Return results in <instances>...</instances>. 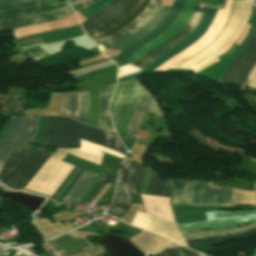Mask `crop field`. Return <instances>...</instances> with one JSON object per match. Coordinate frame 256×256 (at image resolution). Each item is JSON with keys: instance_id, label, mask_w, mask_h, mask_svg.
Instances as JSON below:
<instances>
[{"instance_id": "8a807250", "label": "crop field", "mask_w": 256, "mask_h": 256, "mask_svg": "<svg viewBox=\"0 0 256 256\" xmlns=\"http://www.w3.org/2000/svg\"><path fill=\"white\" fill-rule=\"evenodd\" d=\"M80 138L124 155L127 153L115 132L86 126L68 118L47 117L42 145L56 148H79Z\"/></svg>"}, {"instance_id": "ac0d7876", "label": "crop field", "mask_w": 256, "mask_h": 256, "mask_svg": "<svg viewBox=\"0 0 256 256\" xmlns=\"http://www.w3.org/2000/svg\"><path fill=\"white\" fill-rule=\"evenodd\" d=\"M121 84L122 83L118 84L110 105L111 117L120 91ZM141 88L142 86L137 81V79L125 81L123 83L121 93L112 118L117 134H127ZM145 112L152 113L155 115V117L162 116V113L159 110L156 101L142 88L135 109V113L127 134L128 136L130 135L133 127L138 126Z\"/></svg>"}, {"instance_id": "34b2d1b8", "label": "crop field", "mask_w": 256, "mask_h": 256, "mask_svg": "<svg viewBox=\"0 0 256 256\" xmlns=\"http://www.w3.org/2000/svg\"><path fill=\"white\" fill-rule=\"evenodd\" d=\"M251 7H252V3L250 0H235V11H234V15H233L234 0H231L229 14H228L223 26L218 31L217 35L213 39H211L200 50L196 51L195 53H193L190 56L186 57L185 59L181 60L180 62H178L176 65H174L171 68L177 67L179 64H181L185 60L189 59L193 55L197 54L198 52L202 51L203 49H205L206 47L211 45L223 32L224 28L230 22L232 15H233L231 22L225 28L222 35L211 46H209L202 52L198 53L194 57L190 58L189 60L185 61L177 68L196 69V68L202 66L203 64L207 63L208 61L221 55L225 51H227L228 48L231 45H233L235 43V41L241 35V33L247 23V20L249 18V15L251 12Z\"/></svg>"}, {"instance_id": "412701ff", "label": "crop field", "mask_w": 256, "mask_h": 256, "mask_svg": "<svg viewBox=\"0 0 256 256\" xmlns=\"http://www.w3.org/2000/svg\"><path fill=\"white\" fill-rule=\"evenodd\" d=\"M50 155L43 148L35 149L33 154L14 150L0 170V181L11 189L23 190Z\"/></svg>"}, {"instance_id": "f4fd0767", "label": "crop field", "mask_w": 256, "mask_h": 256, "mask_svg": "<svg viewBox=\"0 0 256 256\" xmlns=\"http://www.w3.org/2000/svg\"><path fill=\"white\" fill-rule=\"evenodd\" d=\"M147 167H142L137 162H124L116 188L115 198L112 208L107 214L119 219L123 217L131 206L133 193H139L142 180Z\"/></svg>"}, {"instance_id": "dd49c442", "label": "crop field", "mask_w": 256, "mask_h": 256, "mask_svg": "<svg viewBox=\"0 0 256 256\" xmlns=\"http://www.w3.org/2000/svg\"><path fill=\"white\" fill-rule=\"evenodd\" d=\"M37 116L15 115L11 117L5 140L0 139V161L4 163L15 148L31 152V137L36 129Z\"/></svg>"}, {"instance_id": "e52e79f7", "label": "crop field", "mask_w": 256, "mask_h": 256, "mask_svg": "<svg viewBox=\"0 0 256 256\" xmlns=\"http://www.w3.org/2000/svg\"><path fill=\"white\" fill-rule=\"evenodd\" d=\"M63 157H50L39 170V172L25 187V189L52 196V194L55 192V190L59 187V185L73 168V166L61 161ZM33 191L29 192L43 195ZM48 195L43 196H47L50 198V196Z\"/></svg>"}, {"instance_id": "d8731c3e", "label": "crop field", "mask_w": 256, "mask_h": 256, "mask_svg": "<svg viewBox=\"0 0 256 256\" xmlns=\"http://www.w3.org/2000/svg\"><path fill=\"white\" fill-rule=\"evenodd\" d=\"M72 12L69 5L58 10L44 13H40L38 7L0 12V30L59 19Z\"/></svg>"}, {"instance_id": "5a996713", "label": "crop field", "mask_w": 256, "mask_h": 256, "mask_svg": "<svg viewBox=\"0 0 256 256\" xmlns=\"http://www.w3.org/2000/svg\"><path fill=\"white\" fill-rule=\"evenodd\" d=\"M256 63V31L247 46L232 59L219 81L243 86Z\"/></svg>"}, {"instance_id": "3316defc", "label": "crop field", "mask_w": 256, "mask_h": 256, "mask_svg": "<svg viewBox=\"0 0 256 256\" xmlns=\"http://www.w3.org/2000/svg\"><path fill=\"white\" fill-rule=\"evenodd\" d=\"M217 9L207 7L203 18L201 19L200 23L198 24L197 28L188 35L185 39H183L179 44L162 54L161 56L155 58L151 63H149L142 71L119 78L118 81H125L137 76H140L146 72H151L160 66L163 62L168 60L170 57L176 55L177 53L184 50L189 45L193 44L199 37H201L209 27Z\"/></svg>"}, {"instance_id": "28ad6ade", "label": "crop field", "mask_w": 256, "mask_h": 256, "mask_svg": "<svg viewBox=\"0 0 256 256\" xmlns=\"http://www.w3.org/2000/svg\"><path fill=\"white\" fill-rule=\"evenodd\" d=\"M149 2L150 0H134V2L117 18L87 35L95 44H100L135 20L148 6Z\"/></svg>"}, {"instance_id": "d1516ede", "label": "crop field", "mask_w": 256, "mask_h": 256, "mask_svg": "<svg viewBox=\"0 0 256 256\" xmlns=\"http://www.w3.org/2000/svg\"><path fill=\"white\" fill-rule=\"evenodd\" d=\"M207 7V4L201 2L198 0L196 7L187 21V23L167 42L162 44L161 46L157 47L150 53H148L146 56H144L142 59H140L138 62L135 63L137 67H140L141 70L147 65L149 61H152L155 57L161 55L165 51H167L169 48L177 44L179 41H181L185 36L191 33V31L197 26L199 23L203 12L205 11Z\"/></svg>"}, {"instance_id": "22f410ed", "label": "crop field", "mask_w": 256, "mask_h": 256, "mask_svg": "<svg viewBox=\"0 0 256 256\" xmlns=\"http://www.w3.org/2000/svg\"><path fill=\"white\" fill-rule=\"evenodd\" d=\"M192 205L234 206L233 190H214L208 182L192 181Z\"/></svg>"}, {"instance_id": "cbeb9de0", "label": "crop field", "mask_w": 256, "mask_h": 256, "mask_svg": "<svg viewBox=\"0 0 256 256\" xmlns=\"http://www.w3.org/2000/svg\"><path fill=\"white\" fill-rule=\"evenodd\" d=\"M131 225L160 234L172 241L186 246V242L182 234L178 231L175 225L162 221L148 214L137 212Z\"/></svg>"}, {"instance_id": "5142ce71", "label": "crop field", "mask_w": 256, "mask_h": 256, "mask_svg": "<svg viewBox=\"0 0 256 256\" xmlns=\"http://www.w3.org/2000/svg\"><path fill=\"white\" fill-rule=\"evenodd\" d=\"M185 0H175L165 20L151 33L122 51L113 61L118 64L125 61L129 56L135 53L137 50L145 46L147 43L164 33L177 19Z\"/></svg>"}, {"instance_id": "d9b57169", "label": "crop field", "mask_w": 256, "mask_h": 256, "mask_svg": "<svg viewBox=\"0 0 256 256\" xmlns=\"http://www.w3.org/2000/svg\"><path fill=\"white\" fill-rule=\"evenodd\" d=\"M161 1L162 0H151L150 5L140 14V16L134 22L129 24L127 27L122 29L113 37L98 45L100 51L103 52L109 49L110 47L114 46L115 44L119 43L123 39L136 32L154 15V13L158 10Z\"/></svg>"}, {"instance_id": "733c2abd", "label": "crop field", "mask_w": 256, "mask_h": 256, "mask_svg": "<svg viewBox=\"0 0 256 256\" xmlns=\"http://www.w3.org/2000/svg\"><path fill=\"white\" fill-rule=\"evenodd\" d=\"M256 222V216L242 219L197 221L179 224L183 234L204 229H229Z\"/></svg>"}, {"instance_id": "4a817a6b", "label": "crop field", "mask_w": 256, "mask_h": 256, "mask_svg": "<svg viewBox=\"0 0 256 256\" xmlns=\"http://www.w3.org/2000/svg\"><path fill=\"white\" fill-rule=\"evenodd\" d=\"M80 145H81L80 149H57L56 152L52 154V156H62V155H65L66 153H69V154H72L74 156L83 158V159L91 161V162H94L99 165H100L102 157H103V154L100 153L101 151L124 158L123 155H121L117 152H114L108 148H103L99 145L87 142L82 139H81Z\"/></svg>"}, {"instance_id": "bc2a9ffb", "label": "crop field", "mask_w": 256, "mask_h": 256, "mask_svg": "<svg viewBox=\"0 0 256 256\" xmlns=\"http://www.w3.org/2000/svg\"><path fill=\"white\" fill-rule=\"evenodd\" d=\"M133 0H115L106 9L98 12L87 21L82 23L84 31L89 33L123 12Z\"/></svg>"}, {"instance_id": "214f88e0", "label": "crop field", "mask_w": 256, "mask_h": 256, "mask_svg": "<svg viewBox=\"0 0 256 256\" xmlns=\"http://www.w3.org/2000/svg\"><path fill=\"white\" fill-rule=\"evenodd\" d=\"M47 243L57 252L58 256H70L92 247L85 239L70 234L47 241Z\"/></svg>"}, {"instance_id": "92a150f3", "label": "crop field", "mask_w": 256, "mask_h": 256, "mask_svg": "<svg viewBox=\"0 0 256 256\" xmlns=\"http://www.w3.org/2000/svg\"><path fill=\"white\" fill-rule=\"evenodd\" d=\"M146 213L175 224L169 198L141 194Z\"/></svg>"}, {"instance_id": "dafd665d", "label": "crop field", "mask_w": 256, "mask_h": 256, "mask_svg": "<svg viewBox=\"0 0 256 256\" xmlns=\"http://www.w3.org/2000/svg\"><path fill=\"white\" fill-rule=\"evenodd\" d=\"M169 9L170 7L168 6L160 7L155 16L145 26H143L140 30H138L129 38L114 46L113 49L123 50L132 43L136 42L137 40L145 36L146 34H148L151 30H153L159 23H161L164 20Z\"/></svg>"}, {"instance_id": "00972430", "label": "crop field", "mask_w": 256, "mask_h": 256, "mask_svg": "<svg viewBox=\"0 0 256 256\" xmlns=\"http://www.w3.org/2000/svg\"><path fill=\"white\" fill-rule=\"evenodd\" d=\"M172 205H191V181L171 179Z\"/></svg>"}, {"instance_id": "a9b5d70f", "label": "crop field", "mask_w": 256, "mask_h": 256, "mask_svg": "<svg viewBox=\"0 0 256 256\" xmlns=\"http://www.w3.org/2000/svg\"><path fill=\"white\" fill-rule=\"evenodd\" d=\"M96 176L97 174L84 170L61 202L68 203L69 200L77 202Z\"/></svg>"}, {"instance_id": "4177f3b9", "label": "crop field", "mask_w": 256, "mask_h": 256, "mask_svg": "<svg viewBox=\"0 0 256 256\" xmlns=\"http://www.w3.org/2000/svg\"><path fill=\"white\" fill-rule=\"evenodd\" d=\"M115 85L100 89V104H99V127L113 130L111 120L108 114V105L113 94Z\"/></svg>"}, {"instance_id": "730fd06b", "label": "crop field", "mask_w": 256, "mask_h": 256, "mask_svg": "<svg viewBox=\"0 0 256 256\" xmlns=\"http://www.w3.org/2000/svg\"><path fill=\"white\" fill-rule=\"evenodd\" d=\"M79 97L80 93L64 94L60 112L58 115L68 116L77 120Z\"/></svg>"}, {"instance_id": "eef30255", "label": "crop field", "mask_w": 256, "mask_h": 256, "mask_svg": "<svg viewBox=\"0 0 256 256\" xmlns=\"http://www.w3.org/2000/svg\"><path fill=\"white\" fill-rule=\"evenodd\" d=\"M256 227L255 224L235 228V229H229V230H211V231H202V232H195L190 234H185V239H200V238H206L209 236H224L229 234H235L239 232H244L246 230L252 229Z\"/></svg>"}, {"instance_id": "ae1a2a85", "label": "crop field", "mask_w": 256, "mask_h": 256, "mask_svg": "<svg viewBox=\"0 0 256 256\" xmlns=\"http://www.w3.org/2000/svg\"><path fill=\"white\" fill-rule=\"evenodd\" d=\"M253 234H256V229L249 230L247 232L237 234V235H232V236L201 239L200 240L201 245H194V243H193L194 240H189L187 242H188L189 247L197 248V247L217 245V244H221V243H224V242H228V241L236 240V239L243 238V237H246V236H250V235H253Z\"/></svg>"}, {"instance_id": "d3111659", "label": "crop field", "mask_w": 256, "mask_h": 256, "mask_svg": "<svg viewBox=\"0 0 256 256\" xmlns=\"http://www.w3.org/2000/svg\"><path fill=\"white\" fill-rule=\"evenodd\" d=\"M148 195H159L169 197L170 189L167 183L163 182L156 174L153 172L151 177L149 187L147 190Z\"/></svg>"}, {"instance_id": "750c4746", "label": "crop field", "mask_w": 256, "mask_h": 256, "mask_svg": "<svg viewBox=\"0 0 256 256\" xmlns=\"http://www.w3.org/2000/svg\"><path fill=\"white\" fill-rule=\"evenodd\" d=\"M116 177L117 175L115 174H110L102 171L101 179L97 182V184L94 186V188L91 190V192L88 194L84 201L91 202L106 183L114 185Z\"/></svg>"}, {"instance_id": "bd1437ed", "label": "crop field", "mask_w": 256, "mask_h": 256, "mask_svg": "<svg viewBox=\"0 0 256 256\" xmlns=\"http://www.w3.org/2000/svg\"><path fill=\"white\" fill-rule=\"evenodd\" d=\"M207 220L214 219H230V218H241L256 215V211H241V212H210L206 213Z\"/></svg>"}, {"instance_id": "1d83c4d3", "label": "crop field", "mask_w": 256, "mask_h": 256, "mask_svg": "<svg viewBox=\"0 0 256 256\" xmlns=\"http://www.w3.org/2000/svg\"><path fill=\"white\" fill-rule=\"evenodd\" d=\"M38 0H0V11L38 6Z\"/></svg>"}, {"instance_id": "120bbe31", "label": "crop field", "mask_w": 256, "mask_h": 256, "mask_svg": "<svg viewBox=\"0 0 256 256\" xmlns=\"http://www.w3.org/2000/svg\"><path fill=\"white\" fill-rule=\"evenodd\" d=\"M14 42L21 49L46 43L41 33L30 35V36L21 37V38H19L17 40H14Z\"/></svg>"}, {"instance_id": "d32e631a", "label": "crop field", "mask_w": 256, "mask_h": 256, "mask_svg": "<svg viewBox=\"0 0 256 256\" xmlns=\"http://www.w3.org/2000/svg\"><path fill=\"white\" fill-rule=\"evenodd\" d=\"M90 92H82L78 120L88 124Z\"/></svg>"}, {"instance_id": "5866460e", "label": "crop field", "mask_w": 256, "mask_h": 256, "mask_svg": "<svg viewBox=\"0 0 256 256\" xmlns=\"http://www.w3.org/2000/svg\"><path fill=\"white\" fill-rule=\"evenodd\" d=\"M114 0H100L93 4L92 6L83 9L81 11H78L83 17L86 19L90 18L92 15H94L96 12L106 8L108 5H110ZM97 14V13H96Z\"/></svg>"}, {"instance_id": "028f5c9d", "label": "crop field", "mask_w": 256, "mask_h": 256, "mask_svg": "<svg viewBox=\"0 0 256 256\" xmlns=\"http://www.w3.org/2000/svg\"><path fill=\"white\" fill-rule=\"evenodd\" d=\"M67 0H46L38 2L40 11H50L68 5Z\"/></svg>"}, {"instance_id": "e1f06a70", "label": "crop field", "mask_w": 256, "mask_h": 256, "mask_svg": "<svg viewBox=\"0 0 256 256\" xmlns=\"http://www.w3.org/2000/svg\"><path fill=\"white\" fill-rule=\"evenodd\" d=\"M45 122H46V117L38 116L37 129H36L35 136L32 140V144H38V145L42 144L44 131H45Z\"/></svg>"}, {"instance_id": "0bd39190", "label": "crop field", "mask_w": 256, "mask_h": 256, "mask_svg": "<svg viewBox=\"0 0 256 256\" xmlns=\"http://www.w3.org/2000/svg\"><path fill=\"white\" fill-rule=\"evenodd\" d=\"M25 52L35 60L49 56L39 46L27 49Z\"/></svg>"}, {"instance_id": "b80d0937", "label": "crop field", "mask_w": 256, "mask_h": 256, "mask_svg": "<svg viewBox=\"0 0 256 256\" xmlns=\"http://www.w3.org/2000/svg\"><path fill=\"white\" fill-rule=\"evenodd\" d=\"M137 71H140V69L136 68L135 66H133L131 64L122 66L119 68L118 78L128 75V74H131V73H134V72H137Z\"/></svg>"}, {"instance_id": "c035e120", "label": "crop field", "mask_w": 256, "mask_h": 256, "mask_svg": "<svg viewBox=\"0 0 256 256\" xmlns=\"http://www.w3.org/2000/svg\"><path fill=\"white\" fill-rule=\"evenodd\" d=\"M95 1H97V0H79L77 2L72 3L71 5H72L74 11L76 12V11L94 3Z\"/></svg>"}, {"instance_id": "c21b1889", "label": "crop field", "mask_w": 256, "mask_h": 256, "mask_svg": "<svg viewBox=\"0 0 256 256\" xmlns=\"http://www.w3.org/2000/svg\"><path fill=\"white\" fill-rule=\"evenodd\" d=\"M249 80H250V83L248 86L256 88V67L252 70Z\"/></svg>"}, {"instance_id": "03da06ac", "label": "crop field", "mask_w": 256, "mask_h": 256, "mask_svg": "<svg viewBox=\"0 0 256 256\" xmlns=\"http://www.w3.org/2000/svg\"><path fill=\"white\" fill-rule=\"evenodd\" d=\"M167 252L170 256H180L178 251L176 250V248L170 249ZM167 252L165 251V252H163L159 255H156V256H168Z\"/></svg>"}, {"instance_id": "b54c1fbb", "label": "crop field", "mask_w": 256, "mask_h": 256, "mask_svg": "<svg viewBox=\"0 0 256 256\" xmlns=\"http://www.w3.org/2000/svg\"><path fill=\"white\" fill-rule=\"evenodd\" d=\"M255 30V27L251 26L250 27V31L248 33V35L245 37V39L243 40V42L241 43V46L244 47V45L248 42V40L251 38V36L253 35Z\"/></svg>"}, {"instance_id": "5d738f31", "label": "crop field", "mask_w": 256, "mask_h": 256, "mask_svg": "<svg viewBox=\"0 0 256 256\" xmlns=\"http://www.w3.org/2000/svg\"><path fill=\"white\" fill-rule=\"evenodd\" d=\"M77 168L74 167V169L71 171V173L67 176V178L64 180V182L61 184V186L58 188V190L54 193V195L51 197L54 199V197L57 195V193L60 191V189L63 187V185L66 183V181L69 179V177L74 173V171L76 170Z\"/></svg>"}, {"instance_id": "d23c7cc5", "label": "crop field", "mask_w": 256, "mask_h": 256, "mask_svg": "<svg viewBox=\"0 0 256 256\" xmlns=\"http://www.w3.org/2000/svg\"><path fill=\"white\" fill-rule=\"evenodd\" d=\"M83 169L77 174V176L74 178V180L70 183V185L66 188V190L63 192V194L59 197L57 201H60L62 197L65 195V193L69 190V188L72 186V184L75 182V180L78 178V176L82 173Z\"/></svg>"}, {"instance_id": "425ffa30", "label": "crop field", "mask_w": 256, "mask_h": 256, "mask_svg": "<svg viewBox=\"0 0 256 256\" xmlns=\"http://www.w3.org/2000/svg\"><path fill=\"white\" fill-rule=\"evenodd\" d=\"M236 47H237V45L234 44L226 53H224L223 55H221V56H219L217 58H219L221 60L222 58H224L227 55H229Z\"/></svg>"}, {"instance_id": "25e5ab78", "label": "crop field", "mask_w": 256, "mask_h": 256, "mask_svg": "<svg viewBox=\"0 0 256 256\" xmlns=\"http://www.w3.org/2000/svg\"><path fill=\"white\" fill-rule=\"evenodd\" d=\"M217 61H219V60L216 58V59H214L213 61L209 62L208 64H206V65H204V66H202V67L196 69L194 72H199V71H201L202 69H204L205 67H207V66H209V65H211V64H213V63H215V62H217Z\"/></svg>"}, {"instance_id": "73cf0c24", "label": "crop field", "mask_w": 256, "mask_h": 256, "mask_svg": "<svg viewBox=\"0 0 256 256\" xmlns=\"http://www.w3.org/2000/svg\"><path fill=\"white\" fill-rule=\"evenodd\" d=\"M182 256H187L186 249L184 247L178 248Z\"/></svg>"}, {"instance_id": "89e229c0", "label": "crop field", "mask_w": 256, "mask_h": 256, "mask_svg": "<svg viewBox=\"0 0 256 256\" xmlns=\"http://www.w3.org/2000/svg\"><path fill=\"white\" fill-rule=\"evenodd\" d=\"M188 256H198L196 252L187 249Z\"/></svg>"}, {"instance_id": "1f2cbd36", "label": "crop field", "mask_w": 256, "mask_h": 256, "mask_svg": "<svg viewBox=\"0 0 256 256\" xmlns=\"http://www.w3.org/2000/svg\"><path fill=\"white\" fill-rule=\"evenodd\" d=\"M219 0H212L210 5L217 6Z\"/></svg>"}, {"instance_id": "dbb93151", "label": "crop field", "mask_w": 256, "mask_h": 256, "mask_svg": "<svg viewBox=\"0 0 256 256\" xmlns=\"http://www.w3.org/2000/svg\"><path fill=\"white\" fill-rule=\"evenodd\" d=\"M73 1H76V0H69L70 3L73 2Z\"/></svg>"}, {"instance_id": "0fb4a251", "label": "crop field", "mask_w": 256, "mask_h": 256, "mask_svg": "<svg viewBox=\"0 0 256 256\" xmlns=\"http://www.w3.org/2000/svg\"><path fill=\"white\" fill-rule=\"evenodd\" d=\"M199 254V253H198ZM199 256H204L203 254H199ZM207 256V255H206Z\"/></svg>"}, {"instance_id": "1d79db26", "label": "crop field", "mask_w": 256, "mask_h": 256, "mask_svg": "<svg viewBox=\"0 0 256 256\" xmlns=\"http://www.w3.org/2000/svg\"><path fill=\"white\" fill-rule=\"evenodd\" d=\"M40 1V0H39Z\"/></svg>"}]
</instances>
